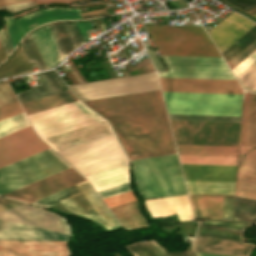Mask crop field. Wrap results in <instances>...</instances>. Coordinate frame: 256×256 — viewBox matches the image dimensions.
Instances as JSON below:
<instances>
[{"instance_id":"39","label":"crop field","mask_w":256,"mask_h":256,"mask_svg":"<svg viewBox=\"0 0 256 256\" xmlns=\"http://www.w3.org/2000/svg\"><path fill=\"white\" fill-rule=\"evenodd\" d=\"M256 49V40L252 42L248 47H246L242 52H240L236 57H234L230 62H228V66L232 70L236 67L241 61H243L248 55H250Z\"/></svg>"},{"instance_id":"31","label":"crop field","mask_w":256,"mask_h":256,"mask_svg":"<svg viewBox=\"0 0 256 256\" xmlns=\"http://www.w3.org/2000/svg\"><path fill=\"white\" fill-rule=\"evenodd\" d=\"M255 39L256 25L252 27L248 32H246L242 37H240L236 42H234L230 47H228L224 52L221 53L226 63Z\"/></svg>"},{"instance_id":"3","label":"crop field","mask_w":256,"mask_h":256,"mask_svg":"<svg viewBox=\"0 0 256 256\" xmlns=\"http://www.w3.org/2000/svg\"><path fill=\"white\" fill-rule=\"evenodd\" d=\"M131 164L144 199L186 194L176 155L134 160Z\"/></svg>"},{"instance_id":"20","label":"crop field","mask_w":256,"mask_h":256,"mask_svg":"<svg viewBox=\"0 0 256 256\" xmlns=\"http://www.w3.org/2000/svg\"><path fill=\"white\" fill-rule=\"evenodd\" d=\"M240 145L256 148V94L245 92Z\"/></svg>"},{"instance_id":"8","label":"crop field","mask_w":256,"mask_h":256,"mask_svg":"<svg viewBox=\"0 0 256 256\" xmlns=\"http://www.w3.org/2000/svg\"><path fill=\"white\" fill-rule=\"evenodd\" d=\"M42 139L104 121L80 101L28 115Z\"/></svg>"},{"instance_id":"25","label":"crop field","mask_w":256,"mask_h":256,"mask_svg":"<svg viewBox=\"0 0 256 256\" xmlns=\"http://www.w3.org/2000/svg\"><path fill=\"white\" fill-rule=\"evenodd\" d=\"M96 191L128 181V165L86 176Z\"/></svg>"},{"instance_id":"27","label":"crop field","mask_w":256,"mask_h":256,"mask_svg":"<svg viewBox=\"0 0 256 256\" xmlns=\"http://www.w3.org/2000/svg\"><path fill=\"white\" fill-rule=\"evenodd\" d=\"M189 193L234 195L235 183L185 181Z\"/></svg>"},{"instance_id":"15","label":"crop field","mask_w":256,"mask_h":256,"mask_svg":"<svg viewBox=\"0 0 256 256\" xmlns=\"http://www.w3.org/2000/svg\"><path fill=\"white\" fill-rule=\"evenodd\" d=\"M255 24L233 12L207 33L221 53Z\"/></svg>"},{"instance_id":"9","label":"crop field","mask_w":256,"mask_h":256,"mask_svg":"<svg viewBox=\"0 0 256 256\" xmlns=\"http://www.w3.org/2000/svg\"><path fill=\"white\" fill-rule=\"evenodd\" d=\"M162 57L169 70L159 77L235 79L222 58Z\"/></svg>"},{"instance_id":"46","label":"crop field","mask_w":256,"mask_h":256,"mask_svg":"<svg viewBox=\"0 0 256 256\" xmlns=\"http://www.w3.org/2000/svg\"><path fill=\"white\" fill-rule=\"evenodd\" d=\"M106 15H107V13L105 12V10L101 9V10H97V11L81 13V19L102 17V16H106Z\"/></svg>"},{"instance_id":"50","label":"crop field","mask_w":256,"mask_h":256,"mask_svg":"<svg viewBox=\"0 0 256 256\" xmlns=\"http://www.w3.org/2000/svg\"><path fill=\"white\" fill-rule=\"evenodd\" d=\"M38 4L42 3H49V2H62V3H72L77 1H84V0H36Z\"/></svg>"},{"instance_id":"53","label":"crop field","mask_w":256,"mask_h":256,"mask_svg":"<svg viewBox=\"0 0 256 256\" xmlns=\"http://www.w3.org/2000/svg\"><path fill=\"white\" fill-rule=\"evenodd\" d=\"M197 256H225V255H216V254H203V253H195Z\"/></svg>"},{"instance_id":"33","label":"crop field","mask_w":256,"mask_h":256,"mask_svg":"<svg viewBox=\"0 0 256 256\" xmlns=\"http://www.w3.org/2000/svg\"><path fill=\"white\" fill-rule=\"evenodd\" d=\"M181 163L236 165L237 157L179 156Z\"/></svg>"},{"instance_id":"49","label":"crop field","mask_w":256,"mask_h":256,"mask_svg":"<svg viewBox=\"0 0 256 256\" xmlns=\"http://www.w3.org/2000/svg\"><path fill=\"white\" fill-rule=\"evenodd\" d=\"M48 26H49V28H50V30H51V32H52V34H53V36H54V38H55V40H56V42H57L59 48H60V50H61V52H62V54H63V56H64V58H65V56H66L67 54H66V52H65V50H64V48H63V46H62V44H61V42H60V40H59L58 33H57V31H56L54 25H53V24H50V25H48Z\"/></svg>"},{"instance_id":"38","label":"crop field","mask_w":256,"mask_h":256,"mask_svg":"<svg viewBox=\"0 0 256 256\" xmlns=\"http://www.w3.org/2000/svg\"><path fill=\"white\" fill-rule=\"evenodd\" d=\"M134 200L135 198L132 195L131 191L104 199L105 203L108 205L109 208L118 206L127 202H131Z\"/></svg>"},{"instance_id":"51","label":"crop field","mask_w":256,"mask_h":256,"mask_svg":"<svg viewBox=\"0 0 256 256\" xmlns=\"http://www.w3.org/2000/svg\"><path fill=\"white\" fill-rule=\"evenodd\" d=\"M28 1H34V0H0V6L18 3V2H28Z\"/></svg>"},{"instance_id":"6","label":"crop field","mask_w":256,"mask_h":256,"mask_svg":"<svg viewBox=\"0 0 256 256\" xmlns=\"http://www.w3.org/2000/svg\"><path fill=\"white\" fill-rule=\"evenodd\" d=\"M251 224L229 221H201L197 229V236L193 240L194 252L216 253L235 256H249L255 247L253 244L242 242V233Z\"/></svg>"},{"instance_id":"2","label":"crop field","mask_w":256,"mask_h":256,"mask_svg":"<svg viewBox=\"0 0 256 256\" xmlns=\"http://www.w3.org/2000/svg\"><path fill=\"white\" fill-rule=\"evenodd\" d=\"M85 103L110 121L129 159L176 153L160 90Z\"/></svg>"},{"instance_id":"26","label":"crop field","mask_w":256,"mask_h":256,"mask_svg":"<svg viewBox=\"0 0 256 256\" xmlns=\"http://www.w3.org/2000/svg\"><path fill=\"white\" fill-rule=\"evenodd\" d=\"M179 155L237 156L238 147L176 145Z\"/></svg>"},{"instance_id":"19","label":"crop field","mask_w":256,"mask_h":256,"mask_svg":"<svg viewBox=\"0 0 256 256\" xmlns=\"http://www.w3.org/2000/svg\"><path fill=\"white\" fill-rule=\"evenodd\" d=\"M36 76L42 85L17 94L20 103L68 90L54 70L37 73Z\"/></svg>"},{"instance_id":"32","label":"crop field","mask_w":256,"mask_h":256,"mask_svg":"<svg viewBox=\"0 0 256 256\" xmlns=\"http://www.w3.org/2000/svg\"><path fill=\"white\" fill-rule=\"evenodd\" d=\"M24 112L0 121V137L29 126Z\"/></svg>"},{"instance_id":"48","label":"crop field","mask_w":256,"mask_h":256,"mask_svg":"<svg viewBox=\"0 0 256 256\" xmlns=\"http://www.w3.org/2000/svg\"><path fill=\"white\" fill-rule=\"evenodd\" d=\"M147 51L149 52V56L156 67L157 71H162L164 68L162 67L158 57L156 56L155 52L153 51L152 47L147 48Z\"/></svg>"},{"instance_id":"21","label":"crop field","mask_w":256,"mask_h":256,"mask_svg":"<svg viewBox=\"0 0 256 256\" xmlns=\"http://www.w3.org/2000/svg\"><path fill=\"white\" fill-rule=\"evenodd\" d=\"M189 198L196 220L221 219L223 196H189Z\"/></svg>"},{"instance_id":"54","label":"crop field","mask_w":256,"mask_h":256,"mask_svg":"<svg viewBox=\"0 0 256 256\" xmlns=\"http://www.w3.org/2000/svg\"><path fill=\"white\" fill-rule=\"evenodd\" d=\"M254 8V7H253ZM248 13H250V14H255L256 13V7L254 8V9H252V10H250Z\"/></svg>"},{"instance_id":"16","label":"crop field","mask_w":256,"mask_h":256,"mask_svg":"<svg viewBox=\"0 0 256 256\" xmlns=\"http://www.w3.org/2000/svg\"><path fill=\"white\" fill-rule=\"evenodd\" d=\"M154 219L177 214L180 221L193 220L187 195L145 201Z\"/></svg>"},{"instance_id":"52","label":"crop field","mask_w":256,"mask_h":256,"mask_svg":"<svg viewBox=\"0 0 256 256\" xmlns=\"http://www.w3.org/2000/svg\"><path fill=\"white\" fill-rule=\"evenodd\" d=\"M5 57H6L5 52L3 51L0 45V62H2L5 59Z\"/></svg>"},{"instance_id":"45","label":"crop field","mask_w":256,"mask_h":256,"mask_svg":"<svg viewBox=\"0 0 256 256\" xmlns=\"http://www.w3.org/2000/svg\"><path fill=\"white\" fill-rule=\"evenodd\" d=\"M255 60H256V50L250 56H248L243 62H241L236 68L232 70L235 76Z\"/></svg>"},{"instance_id":"28","label":"crop field","mask_w":256,"mask_h":256,"mask_svg":"<svg viewBox=\"0 0 256 256\" xmlns=\"http://www.w3.org/2000/svg\"><path fill=\"white\" fill-rule=\"evenodd\" d=\"M33 72L22 48L20 47L17 52L9 59V61L0 67V78L3 76H13L25 72Z\"/></svg>"},{"instance_id":"43","label":"crop field","mask_w":256,"mask_h":256,"mask_svg":"<svg viewBox=\"0 0 256 256\" xmlns=\"http://www.w3.org/2000/svg\"><path fill=\"white\" fill-rule=\"evenodd\" d=\"M244 11H249L256 6V0H227Z\"/></svg>"},{"instance_id":"22","label":"crop field","mask_w":256,"mask_h":256,"mask_svg":"<svg viewBox=\"0 0 256 256\" xmlns=\"http://www.w3.org/2000/svg\"><path fill=\"white\" fill-rule=\"evenodd\" d=\"M236 195L256 199V163L239 159Z\"/></svg>"},{"instance_id":"14","label":"crop field","mask_w":256,"mask_h":256,"mask_svg":"<svg viewBox=\"0 0 256 256\" xmlns=\"http://www.w3.org/2000/svg\"><path fill=\"white\" fill-rule=\"evenodd\" d=\"M0 256H68L66 242L0 241Z\"/></svg>"},{"instance_id":"35","label":"crop field","mask_w":256,"mask_h":256,"mask_svg":"<svg viewBox=\"0 0 256 256\" xmlns=\"http://www.w3.org/2000/svg\"><path fill=\"white\" fill-rule=\"evenodd\" d=\"M21 46L30 63L35 62L38 70L46 69L30 35L24 40Z\"/></svg>"},{"instance_id":"47","label":"crop field","mask_w":256,"mask_h":256,"mask_svg":"<svg viewBox=\"0 0 256 256\" xmlns=\"http://www.w3.org/2000/svg\"><path fill=\"white\" fill-rule=\"evenodd\" d=\"M76 25H77L79 31L81 32L85 42L89 41L90 39L86 35L85 30L92 28L90 22H79V23H76Z\"/></svg>"},{"instance_id":"13","label":"crop field","mask_w":256,"mask_h":256,"mask_svg":"<svg viewBox=\"0 0 256 256\" xmlns=\"http://www.w3.org/2000/svg\"><path fill=\"white\" fill-rule=\"evenodd\" d=\"M159 79L163 91L242 94L237 80Z\"/></svg>"},{"instance_id":"10","label":"crop field","mask_w":256,"mask_h":256,"mask_svg":"<svg viewBox=\"0 0 256 256\" xmlns=\"http://www.w3.org/2000/svg\"><path fill=\"white\" fill-rule=\"evenodd\" d=\"M22 204L0 198V213ZM0 221L69 234L65 220L28 204L1 213Z\"/></svg>"},{"instance_id":"40","label":"crop field","mask_w":256,"mask_h":256,"mask_svg":"<svg viewBox=\"0 0 256 256\" xmlns=\"http://www.w3.org/2000/svg\"><path fill=\"white\" fill-rule=\"evenodd\" d=\"M129 190H130V188H129V184L127 182V183L117 185V186H114V187H111V188H108L105 190L98 191V194L101 196L102 199H104V198H107V197H110V196H113L116 194H120V193L129 191Z\"/></svg>"},{"instance_id":"37","label":"crop field","mask_w":256,"mask_h":256,"mask_svg":"<svg viewBox=\"0 0 256 256\" xmlns=\"http://www.w3.org/2000/svg\"><path fill=\"white\" fill-rule=\"evenodd\" d=\"M62 24L73 48L85 43L75 23L62 22Z\"/></svg>"},{"instance_id":"7","label":"crop field","mask_w":256,"mask_h":256,"mask_svg":"<svg viewBox=\"0 0 256 256\" xmlns=\"http://www.w3.org/2000/svg\"><path fill=\"white\" fill-rule=\"evenodd\" d=\"M168 113L240 116L242 95L163 92Z\"/></svg>"},{"instance_id":"29","label":"crop field","mask_w":256,"mask_h":256,"mask_svg":"<svg viewBox=\"0 0 256 256\" xmlns=\"http://www.w3.org/2000/svg\"><path fill=\"white\" fill-rule=\"evenodd\" d=\"M133 256H194L192 251L167 254L154 241L136 243L126 247Z\"/></svg>"},{"instance_id":"12","label":"crop field","mask_w":256,"mask_h":256,"mask_svg":"<svg viewBox=\"0 0 256 256\" xmlns=\"http://www.w3.org/2000/svg\"><path fill=\"white\" fill-rule=\"evenodd\" d=\"M3 18L15 47L20 38L32 28L52 20L80 19V10L49 8L33 12L16 20H14L13 16Z\"/></svg>"},{"instance_id":"30","label":"crop field","mask_w":256,"mask_h":256,"mask_svg":"<svg viewBox=\"0 0 256 256\" xmlns=\"http://www.w3.org/2000/svg\"><path fill=\"white\" fill-rule=\"evenodd\" d=\"M16 102V99L7 83H0V107ZM22 112L18 102L8 105L0 109V120Z\"/></svg>"},{"instance_id":"44","label":"crop field","mask_w":256,"mask_h":256,"mask_svg":"<svg viewBox=\"0 0 256 256\" xmlns=\"http://www.w3.org/2000/svg\"><path fill=\"white\" fill-rule=\"evenodd\" d=\"M239 158L256 162V149L240 146Z\"/></svg>"},{"instance_id":"24","label":"crop field","mask_w":256,"mask_h":256,"mask_svg":"<svg viewBox=\"0 0 256 256\" xmlns=\"http://www.w3.org/2000/svg\"><path fill=\"white\" fill-rule=\"evenodd\" d=\"M78 101V99L71 93L70 90L22 103V107L26 113L32 114L49 108L57 107L67 103Z\"/></svg>"},{"instance_id":"17","label":"crop field","mask_w":256,"mask_h":256,"mask_svg":"<svg viewBox=\"0 0 256 256\" xmlns=\"http://www.w3.org/2000/svg\"><path fill=\"white\" fill-rule=\"evenodd\" d=\"M112 134L106 121L44 139L54 150Z\"/></svg>"},{"instance_id":"41","label":"crop field","mask_w":256,"mask_h":256,"mask_svg":"<svg viewBox=\"0 0 256 256\" xmlns=\"http://www.w3.org/2000/svg\"><path fill=\"white\" fill-rule=\"evenodd\" d=\"M234 197L224 196L222 219H231Z\"/></svg>"},{"instance_id":"1","label":"crop field","mask_w":256,"mask_h":256,"mask_svg":"<svg viewBox=\"0 0 256 256\" xmlns=\"http://www.w3.org/2000/svg\"><path fill=\"white\" fill-rule=\"evenodd\" d=\"M68 167L70 165L49 148L0 168V193L10 192ZM83 181L85 179L70 167L2 196L32 203L73 187ZM78 188L108 228L119 226V223L87 181L78 185ZM78 188L75 186L34 202V204L49 207L61 201L68 210L92 218L107 228Z\"/></svg>"},{"instance_id":"23","label":"crop field","mask_w":256,"mask_h":256,"mask_svg":"<svg viewBox=\"0 0 256 256\" xmlns=\"http://www.w3.org/2000/svg\"><path fill=\"white\" fill-rule=\"evenodd\" d=\"M111 211L126 230L132 231L140 227L149 226L139 212L137 201L111 208Z\"/></svg>"},{"instance_id":"42","label":"crop field","mask_w":256,"mask_h":256,"mask_svg":"<svg viewBox=\"0 0 256 256\" xmlns=\"http://www.w3.org/2000/svg\"><path fill=\"white\" fill-rule=\"evenodd\" d=\"M55 26H56V29H57V31L59 33V36H60V40H61V42H62V44H63L67 54L70 53L73 49H72V47H71V45H70V43L68 41V38L66 36V33H65L64 29H63L62 24L61 23H57V24H55Z\"/></svg>"},{"instance_id":"36","label":"crop field","mask_w":256,"mask_h":256,"mask_svg":"<svg viewBox=\"0 0 256 256\" xmlns=\"http://www.w3.org/2000/svg\"><path fill=\"white\" fill-rule=\"evenodd\" d=\"M170 119L240 122V117L168 114Z\"/></svg>"},{"instance_id":"5","label":"crop field","mask_w":256,"mask_h":256,"mask_svg":"<svg viewBox=\"0 0 256 256\" xmlns=\"http://www.w3.org/2000/svg\"><path fill=\"white\" fill-rule=\"evenodd\" d=\"M146 29L162 55L220 57L202 27L162 25Z\"/></svg>"},{"instance_id":"18","label":"crop field","mask_w":256,"mask_h":256,"mask_svg":"<svg viewBox=\"0 0 256 256\" xmlns=\"http://www.w3.org/2000/svg\"><path fill=\"white\" fill-rule=\"evenodd\" d=\"M30 35L47 69L64 59L47 25L32 31Z\"/></svg>"},{"instance_id":"4","label":"crop field","mask_w":256,"mask_h":256,"mask_svg":"<svg viewBox=\"0 0 256 256\" xmlns=\"http://www.w3.org/2000/svg\"><path fill=\"white\" fill-rule=\"evenodd\" d=\"M56 152L84 176L128 164L114 134Z\"/></svg>"},{"instance_id":"55","label":"crop field","mask_w":256,"mask_h":256,"mask_svg":"<svg viewBox=\"0 0 256 256\" xmlns=\"http://www.w3.org/2000/svg\"><path fill=\"white\" fill-rule=\"evenodd\" d=\"M254 16H256V14Z\"/></svg>"},{"instance_id":"11","label":"crop field","mask_w":256,"mask_h":256,"mask_svg":"<svg viewBox=\"0 0 256 256\" xmlns=\"http://www.w3.org/2000/svg\"><path fill=\"white\" fill-rule=\"evenodd\" d=\"M49 148L31 126L0 138V167Z\"/></svg>"},{"instance_id":"34","label":"crop field","mask_w":256,"mask_h":256,"mask_svg":"<svg viewBox=\"0 0 256 256\" xmlns=\"http://www.w3.org/2000/svg\"><path fill=\"white\" fill-rule=\"evenodd\" d=\"M240 81L243 89L255 92L256 91V61L248 66L244 71L236 76Z\"/></svg>"}]
</instances>
